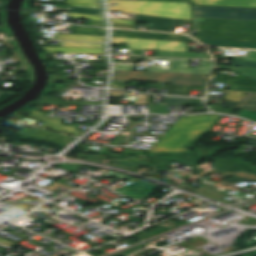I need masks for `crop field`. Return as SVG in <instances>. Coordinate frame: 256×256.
I'll use <instances>...</instances> for the list:
<instances>
[{"label": "crop field", "instance_id": "8a807250", "mask_svg": "<svg viewBox=\"0 0 256 256\" xmlns=\"http://www.w3.org/2000/svg\"><path fill=\"white\" fill-rule=\"evenodd\" d=\"M220 116L208 114L180 117L147 154L191 153L187 147L196 144Z\"/></svg>", "mask_w": 256, "mask_h": 256}, {"label": "crop field", "instance_id": "ac0d7876", "mask_svg": "<svg viewBox=\"0 0 256 256\" xmlns=\"http://www.w3.org/2000/svg\"><path fill=\"white\" fill-rule=\"evenodd\" d=\"M197 21L199 30L196 38L256 42V23L205 19Z\"/></svg>", "mask_w": 256, "mask_h": 256}, {"label": "crop field", "instance_id": "34b2d1b8", "mask_svg": "<svg viewBox=\"0 0 256 256\" xmlns=\"http://www.w3.org/2000/svg\"><path fill=\"white\" fill-rule=\"evenodd\" d=\"M117 3L118 7L110 6L109 10L139 13L174 19L192 20L189 3L155 2V1H121L107 0Z\"/></svg>", "mask_w": 256, "mask_h": 256}, {"label": "crop field", "instance_id": "412701ff", "mask_svg": "<svg viewBox=\"0 0 256 256\" xmlns=\"http://www.w3.org/2000/svg\"><path fill=\"white\" fill-rule=\"evenodd\" d=\"M210 75L115 71L112 79L140 80L204 87Z\"/></svg>", "mask_w": 256, "mask_h": 256}, {"label": "crop field", "instance_id": "f4fd0767", "mask_svg": "<svg viewBox=\"0 0 256 256\" xmlns=\"http://www.w3.org/2000/svg\"><path fill=\"white\" fill-rule=\"evenodd\" d=\"M194 17L256 21V9L192 6Z\"/></svg>", "mask_w": 256, "mask_h": 256}, {"label": "crop field", "instance_id": "dd49c442", "mask_svg": "<svg viewBox=\"0 0 256 256\" xmlns=\"http://www.w3.org/2000/svg\"><path fill=\"white\" fill-rule=\"evenodd\" d=\"M112 43L129 44L128 49L186 51L188 43L113 37Z\"/></svg>", "mask_w": 256, "mask_h": 256}, {"label": "crop field", "instance_id": "e52e79f7", "mask_svg": "<svg viewBox=\"0 0 256 256\" xmlns=\"http://www.w3.org/2000/svg\"><path fill=\"white\" fill-rule=\"evenodd\" d=\"M156 59L168 60L167 63H173V69L150 68V69H147L146 71L211 74L214 68L213 60H211V62H207V60H201L200 67H188L189 59H174V58H156Z\"/></svg>", "mask_w": 256, "mask_h": 256}, {"label": "crop field", "instance_id": "d8731c3e", "mask_svg": "<svg viewBox=\"0 0 256 256\" xmlns=\"http://www.w3.org/2000/svg\"><path fill=\"white\" fill-rule=\"evenodd\" d=\"M29 115L42 120L44 122L41 126L42 128L68 133L76 136H79L84 132L77 130L76 124L62 125V119L54 117L48 118L46 117L47 113L44 112L32 111L29 113Z\"/></svg>", "mask_w": 256, "mask_h": 256}, {"label": "crop field", "instance_id": "5a996713", "mask_svg": "<svg viewBox=\"0 0 256 256\" xmlns=\"http://www.w3.org/2000/svg\"><path fill=\"white\" fill-rule=\"evenodd\" d=\"M19 136L28 137V138H39L44 139L46 141L66 145L72 142L75 137L38 129V128H30V129H24L21 133L18 134Z\"/></svg>", "mask_w": 256, "mask_h": 256}, {"label": "crop field", "instance_id": "3316defc", "mask_svg": "<svg viewBox=\"0 0 256 256\" xmlns=\"http://www.w3.org/2000/svg\"><path fill=\"white\" fill-rule=\"evenodd\" d=\"M113 36L192 42V40L189 37L183 36V35L123 31V30H113Z\"/></svg>", "mask_w": 256, "mask_h": 256}, {"label": "crop field", "instance_id": "28ad6ade", "mask_svg": "<svg viewBox=\"0 0 256 256\" xmlns=\"http://www.w3.org/2000/svg\"><path fill=\"white\" fill-rule=\"evenodd\" d=\"M133 184L116 189V191L132 197L136 200L140 199L145 194L155 190L157 186L141 181L139 179L129 176L128 178Z\"/></svg>", "mask_w": 256, "mask_h": 256}, {"label": "crop field", "instance_id": "d1516ede", "mask_svg": "<svg viewBox=\"0 0 256 256\" xmlns=\"http://www.w3.org/2000/svg\"><path fill=\"white\" fill-rule=\"evenodd\" d=\"M212 82L231 83L229 88L242 91H256V79L215 75Z\"/></svg>", "mask_w": 256, "mask_h": 256}, {"label": "crop field", "instance_id": "22f410ed", "mask_svg": "<svg viewBox=\"0 0 256 256\" xmlns=\"http://www.w3.org/2000/svg\"><path fill=\"white\" fill-rule=\"evenodd\" d=\"M136 21L155 23L152 24L151 30L172 32L177 20L136 14Z\"/></svg>", "mask_w": 256, "mask_h": 256}, {"label": "crop field", "instance_id": "cbeb9de0", "mask_svg": "<svg viewBox=\"0 0 256 256\" xmlns=\"http://www.w3.org/2000/svg\"><path fill=\"white\" fill-rule=\"evenodd\" d=\"M192 4L256 7V0H191Z\"/></svg>", "mask_w": 256, "mask_h": 256}, {"label": "crop field", "instance_id": "5142ce71", "mask_svg": "<svg viewBox=\"0 0 256 256\" xmlns=\"http://www.w3.org/2000/svg\"><path fill=\"white\" fill-rule=\"evenodd\" d=\"M207 45L222 46V47H237V48H256V43L252 42H231V41H215L197 39Z\"/></svg>", "mask_w": 256, "mask_h": 256}, {"label": "crop field", "instance_id": "d9b57169", "mask_svg": "<svg viewBox=\"0 0 256 256\" xmlns=\"http://www.w3.org/2000/svg\"><path fill=\"white\" fill-rule=\"evenodd\" d=\"M228 105L235 108L256 110V92H246L241 103L228 101Z\"/></svg>", "mask_w": 256, "mask_h": 256}, {"label": "crop field", "instance_id": "733c2abd", "mask_svg": "<svg viewBox=\"0 0 256 256\" xmlns=\"http://www.w3.org/2000/svg\"><path fill=\"white\" fill-rule=\"evenodd\" d=\"M49 52L58 53H91V54H103V49H81V48H54V47H43Z\"/></svg>", "mask_w": 256, "mask_h": 256}, {"label": "crop field", "instance_id": "4a817a6b", "mask_svg": "<svg viewBox=\"0 0 256 256\" xmlns=\"http://www.w3.org/2000/svg\"><path fill=\"white\" fill-rule=\"evenodd\" d=\"M156 56L209 58L207 53L157 51Z\"/></svg>", "mask_w": 256, "mask_h": 256}, {"label": "crop field", "instance_id": "bc2a9ffb", "mask_svg": "<svg viewBox=\"0 0 256 256\" xmlns=\"http://www.w3.org/2000/svg\"><path fill=\"white\" fill-rule=\"evenodd\" d=\"M54 39H68V40L104 42V37L87 36V35H75V34H56Z\"/></svg>", "mask_w": 256, "mask_h": 256}, {"label": "crop field", "instance_id": "214f88e0", "mask_svg": "<svg viewBox=\"0 0 256 256\" xmlns=\"http://www.w3.org/2000/svg\"><path fill=\"white\" fill-rule=\"evenodd\" d=\"M70 33L105 36L106 29L80 27L73 25Z\"/></svg>", "mask_w": 256, "mask_h": 256}, {"label": "crop field", "instance_id": "92a150f3", "mask_svg": "<svg viewBox=\"0 0 256 256\" xmlns=\"http://www.w3.org/2000/svg\"><path fill=\"white\" fill-rule=\"evenodd\" d=\"M165 104L190 105L203 104L202 99L166 97Z\"/></svg>", "mask_w": 256, "mask_h": 256}, {"label": "crop field", "instance_id": "dafd665d", "mask_svg": "<svg viewBox=\"0 0 256 256\" xmlns=\"http://www.w3.org/2000/svg\"><path fill=\"white\" fill-rule=\"evenodd\" d=\"M65 4L100 9L98 0H65Z\"/></svg>", "mask_w": 256, "mask_h": 256}, {"label": "crop field", "instance_id": "00972430", "mask_svg": "<svg viewBox=\"0 0 256 256\" xmlns=\"http://www.w3.org/2000/svg\"><path fill=\"white\" fill-rule=\"evenodd\" d=\"M220 173L233 175L229 180H235V181H256V175H254V174H248V173H244V172H238V173L220 172Z\"/></svg>", "mask_w": 256, "mask_h": 256}, {"label": "crop field", "instance_id": "a9b5d70f", "mask_svg": "<svg viewBox=\"0 0 256 256\" xmlns=\"http://www.w3.org/2000/svg\"><path fill=\"white\" fill-rule=\"evenodd\" d=\"M208 90H216V89H208ZM227 94H225L223 100H231V101H237L241 102L245 92L241 91H233V90H220Z\"/></svg>", "mask_w": 256, "mask_h": 256}, {"label": "crop field", "instance_id": "4177f3b9", "mask_svg": "<svg viewBox=\"0 0 256 256\" xmlns=\"http://www.w3.org/2000/svg\"><path fill=\"white\" fill-rule=\"evenodd\" d=\"M104 44L62 42L60 47L103 48Z\"/></svg>", "mask_w": 256, "mask_h": 256}, {"label": "crop field", "instance_id": "730fd06b", "mask_svg": "<svg viewBox=\"0 0 256 256\" xmlns=\"http://www.w3.org/2000/svg\"><path fill=\"white\" fill-rule=\"evenodd\" d=\"M64 11H73V12L101 15L100 10H97V9H89V8H81V7H73V6H69Z\"/></svg>", "mask_w": 256, "mask_h": 256}, {"label": "crop field", "instance_id": "eef30255", "mask_svg": "<svg viewBox=\"0 0 256 256\" xmlns=\"http://www.w3.org/2000/svg\"><path fill=\"white\" fill-rule=\"evenodd\" d=\"M69 17H74V18H85V19H94V20H102L101 16H95V15H85V14H75V13H70Z\"/></svg>", "mask_w": 256, "mask_h": 256}, {"label": "crop field", "instance_id": "ae1a2a85", "mask_svg": "<svg viewBox=\"0 0 256 256\" xmlns=\"http://www.w3.org/2000/svg\"><path fill=\"white\" fill-rule=\"evenodd\" d=\"M244 76L256 78V68L243 67L242 71Z\"/></svg>", "mask_w": 256, "mask_h": 256}, {"label": "crop field", "instance_id": "d3111659", "mask_svg": "<svg viewBox=\"0 0 256 256\" xmlns=\"http://www.w3.org/2000/svg\"><path fill=\"white\" fill-rule=\"evenodd\" d=\"M231 65L256 67V62L233 60Z\"/></svg>", "mask_w": 256, "mask_h": 256}, {"label": "crop field", "instance_id": "750c4746", "mask_svg": "<svg viewBox=\"0 0 256 256\" xmlns=\"http://www.w3.org/2000/svg\"><path fill=\"white\" fill-rule=\"evenodd\" d=\"M240 116L256 121V112L255 111L242 110Z\"/></svg>", "mask_w": 256, "mask_h": 256}, {"label": "crop field", "instance_id": "bd1437ed", "mask_svg": "<svg viewBox=\"0 0 256 256\" xmlns=\"http://www.w3.org/2000/svg\"><path fill=\"white\" fill-rule=\"evenodd\" d=\"M109 176H120L122 179H118V180H123L125 179L128 175H125V174H122V173H118V172H115V171H111L109 170L108 172H106L104 175H102V177H109Z\"/></svg>", "mask_w": 256, "mask_h": 256}, {"label": "crop field", "instance_id": "1d83c4d3", "mask_svg": "<svg viewBox=\"0 0 256 256\" xmlns=\"http://www.w3.org/2000/svg\"><path fill=\"white\" fill-rule=\"evenodd\" d=\"M242 67L219 65L218 69L240 72Z\"/></svg>", "mask_w": 256, "mask_h": 256}, {"label": "crop field", "instance_id": "120bbe31", "mask_svg": "<svg viewBox=\"0 0 256 256\" xmlns=\"http://www.w3.org/2000/svg\"><path fill=\"white\" fill-rule=\"evenodd\" d=\"M14 95H16L15 93H10V92H7L3 95L0 96V104L8 101L9 99H11Z\"/></svg>", "mask_w": 256, "mask_h": 256}, {"label": "crop field", "instance_id": "d32e631a", "mask_svg": "<svg viewBox=\"0 0 256 256\" xmlns=\"http://www.w3.org/2000/svg\"><path fill=\"white\" fill-rule=\"evenodd\" d=\"M115 70L133 71L134 65H114Z\"/></svg>", "mask_w": 256, "mask_h": 256}, {"label": "crop field", "instance_id": "5866460e", "mask_svg": "<svg viewBox=\"0 0 256 256\" xmlns=\"http://www.w3.org/2000/svg\"><path fill=\"white\" fill-rule=\"evenodd\" d=\"M211 109L214 112H223V113H229L232 114L234 109H229V108H217V107H211Z\"/></svg>", "mask_w": 256, "mask_h": 256}, {"label": "crop field", "instance_id": "028f5c9d", "mask_svg": "<svg viewBox=\"0 0 256 256\" xmlns=\"http://www.w3.org/2000/svg\"><path fill=\"white\" fill-rule=\"evenodd\" d=\"M243 60L256 61V51H249L247 57H244Z\"/></svg>", "mask_w": 256, "mask_h": 256}, {"label": "crop field", "instance_id": "e1f06a70", "mask_svg": "<svg viewBox=\"0 0 256 256\" xmlns=\"http://www.w3.org/2000/svg\"><path fill=\"white\" fill-rule=\"evenodd\" d=\"M113 27L135 29V25H126V24L113 23Z\"/></svg>", "mask_w": 256, "mask_h": 256}, {"label": "crop field", "instance_id": "0bd39190", "mask_svg": "<svg viewBox=\"0 0 256 256\" xmlns=\"http://www.w3.org/2000/svg\"><path fill=\"white\" fill-rule=\"evenodd\" d=\"M112 22L115 23H126V24H135L136 21H124V20H116V19H110Z\"/></svg>", "mask_w": 256, "mask_h": 256}, {"label": "crop field", "instance_id": "b80d0937", "mask_svg": "<svg viewBox=\"0 0 256 256\" xmlns=\"http://www.w3.org/2000/svg\"><path fill=\"white\" fill-rule=\"evenodd\" d=\"M90 26H104L102 22L100 21H94V20H91Z\"/></svg>", "mask_w": 256, "mask_h": 256}, {"label": "crop field", "instance_id": "c035e120", "mask_svg": "<svg viewBox=\"0 0 256 256\" xmlns=\"http://www.w3.org/2000/svg\"><path fill=\"white\" fill-rule=\"evenodd\" d=\"M246 144H251V145H255L256 146V138H250Z\"/></svg>", "mask_w": 256, "mask_h": 256}, {"label": "crop field", "instance_id": "c21b1889", "mask_svg": "<svg viewBox=\"0 0 256 256\" xmlns=\"http://www.w3.org/2000/svg\"><path fill=\"white\" fill-rule=\"evenodd\" d=\"M156 1L188 2V0H156Z\"/></svg>", "mask_w": 256, "mask_h": 256}, {"label": "crop field", "instance_id": "03da06ac", "mask_svg": "<svg viewBox=\"0 0 256 256\" xmlns=\"http://www.w3.org/2000/svg\"><path fill=\"white\" fill-rule=\"evenodd\" d=\"M199 179H201V178H199ZM202 180H204V179H202ZM202 183L214 185L217 182L204 180Z\"/></svg>", "mask_w": 256, "mask_h": 256}, {"label": "crop field", "instance_id": "b54c1fbb", "mask_svg": "<svg viewBox=\"0 0 256 256\" xmlns=\"http://www.w3.org/2000/svg\"><path fill=\"white\" fill-rule=\"evenodd\" d=\"M220 183H217L216 184V186H220V187H224V188H228V189H233V190H237V189H235V188H229V187H225V186H223V185H219Z\"/></svg>", "mask_w": 256, "mask_h": 256}, {"label": "crop field", "instance_id": "5d738f31", "mask_svg": "<svg viewBox=\"0 0 256 256\" xmlns=\"http://www.w3.org/2000/svg\"><path fill=\"white\" fill-rule=\"evenodd\" d=\"M152 57H140L139 59H143V60H149L151 59Z\"/></svg>", "mask_w": 256, "mask_h": 256}, {"label": "crop field", "instance_id": "d23c7cc5", "mask_svg": "<svg viewBox=\"0 0 256 256\" xmlns=\"http://www.w3.org/2000/svg\"><path fill=\"white\" fill-rule=\"evenodd\" d=\"M213 171H215V170H211V171H209V172H207V173H205V174H203V175H201V176H205V175H207V174H209V173H211V172H213Z\"/></svg>", "mask_w": 256, "mask_h": 256}]
</instances>
